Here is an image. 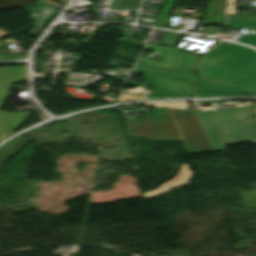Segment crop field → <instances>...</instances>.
Returning a JSON list of instances; mask_svg holds the SVG:
<instances>
[{"mask_svg":"<svg viewBox=\"0 0 256 256\" xmlns=\"http://www.w3.org/2000/svg\"><path fill=\"white\" fill-rule=\"evenodd\" d=\"M187 145V153L211 152L212 149L193 111L171 109Z\"/></svg>","mask_w":256,"mask_h":256,"instance_id":"5","label":"crop field"},{"mask_svg":"<svg viewBox=\"0 0 256 256\" xmlns=\"http://www.w3.org/2000/svg\"><path fill=\"white\" fill-rule=\"evenodd\" d=\"M195 114L213 151H226V144L256 140V126L246 107L221 105V112Z\"/></svg>","mask_w":256,"mask_h":256,"instance_id":"2","label":"crop field"},{"mask_svg":"<svg viewBox=\"0 0 256 256\" xmlns=\"http://www.w3.org/2000/svg\"><path fill=\"white\" fill-rule=\"evenodd\" d=\"M219 28H214V27H207L206 31L204 32V34L207 35H212L213 33H215Z\"/></svg>","mask_w":256,"mask_h":256,"instance_id":"22","label":"crop field"},{"mask_svg":"<svg viewBox=\"0 0 256 256\" xmlns=\"http://www.w3.org/2000/svg\"><path fill=\"white\" fill-rule=\"evenodd\" d=\"M147 105L153 106H166V107H173V108H183L187 109V102H173V103H152Z\"/></svg>","mask_w":256,"mask_h":256,"instance_id":"19","label":"crop field"},{"mask_svg":"<svg viewBox=\"0 0 256 256\" xmlns=\"http://www.w3.org/2000/svg\"><path fill=\"white\" fill-rule=\"evenodd\" d=\"M29 141H34V139L27 136L19 135L16 137L15 140L10 141L5 146L0 148V171L4 163L21 148H23ZM9 153L12 155H8Z\"/></svg>","mask_w":256,"mask_h":256,"instance_id":"10","label":"crop field"},{"mask_svg":"<svg viewBox=\"0 0 256 256\" xmlns=\"http://www.w3.org/2000/svg\"><path fill=\"white\" fill-rule=\"evenodd\" d=\"M225 1L226 0H210L204 19L224 18ZM174 2L175 0H166L153 26L163 27L169 18L168 15Z\"/></svg>","mask_w":256,"mask_h":256,"instance_id":"7","label":"crop field"},{"mask_svg":"<svg viewBox=\"0 0 256 256\" xmlns=\"http://www.w3.org/2000/svg\"><path fill=\"white\" fill-rule=\"evenodd\" d=\"M224 20H215V21H202V26H214V25H223Z\"/></svg>","mask_w":256,"mask_h":256,"instance_id":"20","label":"crop field"},{"mask_svg":"<svg viewBox=\"0 0 256 256\" xmlns=\"http://www.w3.org/2000/svg\"><path fill=\"white\" fill-rule=\"evenodd\" d=\"M228 26L248 28L256 31V25H245V24H227Z\"/></svg>","mask_w":256,"mask_h":256,"instance_id":"21","label":"crop field"},{"mask_svg":"<svg viewBox=\"0 0 256 256\" xmlns=\"http://www.w3.org/2000/svg\"><path fill=\"white\" fill-rule=\"evenodd\" d=\"M229 22L228 23H246V24H256V17H241L227 15Z\"/></svg>","mask_w":256,"mask_h":256,"instance_id":"16","label":"crop field"},{"mask_svg":"<svg viewBox=\"0 0 256 256\" xmlns=\"http://www.w3.org/2000/svg\"><path fill=\"white\" fill-rule=\"evenodd\" d=\"M38 12L39 16L35 23V26L45 29L47 25L53 20V18L58 14L54 9H52L48 4L41 2L38 5L31 8Z\"/></svg>","mask_w":256,"mask_h":256,"instance_id":"11","label":"crop field"},{"mask_svg":"<svg viewBox=\"0 0 256 256\" xmlns=\"http://www.w3.org/2000/svg\"><path fill=\"white\" fill-rule=\"evenodd\" d=\"M198 76L256 91V51L222 41L199 60Z\"/></svg>","mask_w":256,"mask_h":256,"instance_id":"1","label":"crop field"},{"mask_svg":"<svg viewBox=\"0 0 256 256\" xmlns=\"http://www.w3.org/2000/svg\"><path fill=\"white\" fill-rule=\"evenodd\" d=\"M234 1H236V0H228L227 3H231V2H234Z\"/></svg>","mask_w":256,"mask_h":256,"instance_id":"28","label":"crop field"},{"mask_svg":"<svg viewBox=\"0 0 256 256\" xmlns=\"http://www.w3.org/2000/svg\"><path fill=\"white\" fill-rule=\"evenodd\" d=\"M221 101L197 102V103H220Z\"/></svg>","mask_w":256,"mask_h":256,"instance_id":"24","label":"crop field"},{"mask_svg":"<svg viewBox=\"0 0 256 256\" xmlns=\"http://www.w3.org/2000/svg\"><path fill=\"white\" fill-rule=\"evenodd\" d=\"M6 34L8 33L0 29V36L6 35Z\"/></svg>","mask_w":256,"mask_h":256,"instance_id":"26","label":"crop field"},{"mask_svg":"<svg viewBox=\"0 0 256 256\" xmlns=\"http://www.w3.org/2000/svg\"><path fill=\"white\" fill-rule=\"evenodd\" d=\"M182 35L168 32L164 41L161 43L163 46L175 47Z\"/></svg>","mask_w":256,"mask_h":256,"instance_id":"17","label":"crop field"},{"mask_svg":"<svg viewBox=\"0 0 256 256\" xmlns=\"http://www.w3.org/2000/svg\"><path fill=\"white\" fill-rule=\"evenodd\" d=\"M145 49L159 52L158 57H161V59L160 61H156L145 57H141L140 60L138 61L139 64L151 67H164L173 69L176 55L175 49L151 44H147Z\"/></svg>","mask_w":256,"mask_h":256,"instance_id":"8","label":"crop field"},{"mask_svg":"<svg viewBox=\"0 0 256 256\" xmlns=\"http://www.w3.org/2000/svg\"><path fill=\"white\" fill-rule=\"evenodd\" d=\"M197 85L210 87V88H216V89H222V90H227V91H233V92H238V93H244V94H249V95H256V93H254V92L238 89L235 87L211 82V81L200 79V78H198Z\"/></svg>","mask_w":256,"mask_h":256,"instance_id":"14","label":"crop field"},{"mask_svg":"<svg viewBox=\"0 0 256 256\" xmlns=\"http://www.w3.org/2000/svg\"><path fill=\"white\" fill-rule=\"evenodd\" d=\"M27 80L26 66L0 68V106L4 100L10 83ZM7 114L5 134L8 135L30 114L28 112L17 111L15 113L0 111V140L3 139V123Z\"/></svg>","mask_w":256,"mask_h":256,"instance_id":"4","label":"crop field"},{"mask_svg":"<svg viewBox=\"0 0 256 256\" xmlns=\"http://www.w3.org/2000/svg\"><path fill=\"white\" fill-rule=\"evenodd\" d=\"M126 137L182 142L168 109L154 108L144 121H122Z\"/></svg>","mask_w":256,"mask_h":256,"instance_id":"3","label":"crop field"},{"mask_svg":"<svg viewBox=\"0 0 256 256\" xmlns=\"http://www.w3.org/2000/svg\"><path fill=\"white\" fill-rule=\"evenodd\" d=\"M230 96H244L233 92L221 91L197 86L196 97H230Z\"/></svg>","mask_w":256,"mask_h":256,"instance_id":"13","label":"crop field"},{"mask_svg":"<svg viewBox=\"0 0 256 256\" xmlns=\"http://www.w3.org/2000/svg\"><path fill=\"white\" fill-rule=\"evenodd\" d=\"M141 0H125V1H117L112 0L110 9L118 10V9H135V7H139Z\"/></svg>","mask_w":256,"mask_h":256,"instance_id":"15","label":"crop field"},{"mask_svg":"<svg viewBox=\"0 0 256 256\" xmlns=\"http://www.w3.org/2000/svg\"><path fill=\"white\" fill-rule=\"evenodd\" d=\"M235 6H236V3L231 5V6H229L228 10H227V14H234L235 15V13H236Z\"/></svg>","mask_w":256,"mask_h":256,"instance_id":"23","label":"crop field"},{"mask_svg":"<svg viewBox=\"0 0 256 256\" xmlns=\"http://www.w3.org/2000/svg\"><path fill=\"white\" fill-rule=\"evenodd\" d=\"M249 108H250L252 114L254 115V114H255L256 107H249Z\"/></svg>","mask_w":256,"mask_h":256,"instance_id":"25","label":"crop field"},{"mask_svg":"<svg viewBox=\"0 0 256 256\" xmlns=\"http://www.w3.org/2000/svg\"><path fill=\"white\" fill-rule=\"evenodd\" d=\"M176 69L195 71V54L178 51Z\"/></svg>","mask_w":256,"mask_h":256,"instance_id":"12","label":"crop field"},{"mask_svg":"<svg viewBox=\"0 0 256 256\" xmlns=\"http://www.w3.org/2000/svg\"><path fill=\"white\" fill-rule=\"evenodd\" d=\"M256 144V142H254Z\"/></svg>","mask_w":256,"mask_h":256,"instance_id":"29","label":"crop field"},{"mask_svg":"<svg viewBox=\"0 0 256 256\" xmlns=\"http://www.w3.org/2000/svg\"><path fill=\"white\" fill-rule=\"evenodd\" d=\"M0 61H4L3 55H2V53H1V51H0Z\"/></svg>","mask_w":256,"mask_h":256,"instance_id":"27","label":"crop field"},{"mask_svg":"<svg viewBox=\"0 0 256 256\" xmlns=\"http://www.w3.org/2000/svg\"><path fill=\"white\" fill-rule=\"evenodd\" d=\"M154 69L136 65L133 72L151 75ZM154 76L194 82V73L157 69Z\"/></svg>","mask_w":256,"mask_h":256,"instance_id":"9","label":"crop field"},{"mask_svg":"<svg viewBox=\"0 0 256 256\" xmlns=\"http://www.w3.org/2000/svg\"><path fill=\"white\" fill-rule=\"evenodd\" d=\"M237 42L256 47V35H243Z\"/></svg>","mask_w":256,"mask_h":256,"instance_id":"18","label":"crop field"},{"mask_svg":"<svg viewBox=\"0 0 256 256\" xmlns=\"http://www.w3.org/2000/svg\"><path fill=\"white\" fill-rule=\"evenodd\" d=\"M146 81L141 88L147 89L149 83L153 85L154 90L151 95L147 96V99H155L161 97L167 98H179V97H192L193 96V83L170 80L157 77L144 76ZM163 92H166L165 94ZM177 92V94H175Z\"/></svg>","mask_w":256,"mask_h":256,"instance_id":"6","label":"crop field"}]
</instances>
